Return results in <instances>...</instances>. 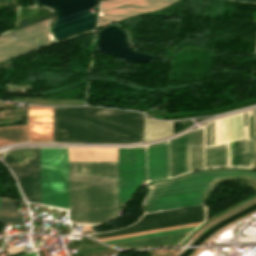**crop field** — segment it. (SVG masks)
Returning <instances> with one entry per match:
<instances>
[{"mask_svg":"<svg viewBox=\"0 0 256 256\" xmlns=\"http://www.w3.org/2000/svg\"><path fill=\"white\" fill-rule=\"evenodd\" d=\"M236 175L256 178L255 172L218 170L153 183L149 186L150 192L143 203V212L148 213L201 204L203 195L216 180Z\"/></svg>","mask_w":256,"mask_h":256,"instance_id":"1","label":"crop field"},{"mask_svg":"<svg viewBox=\"0 0 256 256\" xmlns=\"http://www.w3.org/2000/svg\"><path fill=\"white\" fill-rule=\"evenodd\" d=\"M42 204L68 209L67 148H41Z\"/></svg>","mask_w":256,"mask_h":256,"instance_id":"2","label":"crop field"},{"mask_svg":"<svg viewBox=\"0 0 256 256\" xmlns=\"http://www.w3.org/2000/svg\"><path fill=\"white\" fill-rule=\"evenodd\" d=\"M5 163L12 169L27 201L40 204V148L6 152Z\"/></svg>","mask_w":256,"mask_h":256,"instance_id":"3","label":"crop field"},{"mask_svg":"<svg viewBox=\"0 0 256 256\" xmlns=\"http://www.w3.org/2000/svg\"><path fill=\"white\" fill-rule=\"evenodd\" d=\"M51 18L0 36V61L54 43L47 31ZM14 36L18 38L15 39ZM34 39L35 41H33ZM38 43H40L38 45Z\"/></svg>","mask_w":256,"mask_h":256,"instance_id":"4","label":"crop field"},{"mask_svg":"<svg viewBox=\"0 0 256 256\" xmlns=\"http://www.w3.org/2000/svg\"><path fill=\"white\" fill-rule=\"evenodd\" d=\"M141 179H145L144 147L118 148L119 203H127Z\"/></svg>","mask_w":256,"mask_h":256,"instance_id":"5","label":"crop field"},{"mask_svg":"<svg viewBox=\"0 0 256 256\" xmlns=\"http://www.w3.org/2000/svg\"><path fill=\"white\" fill-rule=\"evenodd\" d=\"M177 0H105L102 2L98 27L125 17L168 6ZM105 21V23L103 22Z\"/></svg>","mask_w":256,"mask_h":256,"instance_id":"6","label":"crop field"},{"mask_svg":"<svg viewBox=\"0 0 256 256\" xmlns=\"http://www.w3.org/2000/svg\"><path fill=\"white\" fill-rule=\"evenodd\" d=\"M53 107L29 106V141L52 142Z\"/></svg>","mask_w":256,"mask_h":256,"instance_id":"7","label":"crop field"},{"mask_svg":"<svg viewBox=\"0 0 256 256\" xmlns=\"http://www.w3.org/2000/svg\"><path fill=\"white\" fill-rule=\"evenodd\" d=\"M148 180L169 177L168 140L147 146Z\"/></svg>","mask_w":256,"mask_h":256,"instance_id":"8","label":"crop field"},{"mask_svg":"<svg viewBox=\"0 0 256 256\" xmlns=\"http://www.w3.org/2000/svg\"><path fill=\"white\" fill-rule=\"evenodd\" d=\"M204 168L229 166V143L203 148Z\"/></svg>","mask_w":256,"mask_h":256,"instance_id":"9","label":"crop field"},{"mask_svg":"<svg viewBox=\"0 0 256 256\" xmlns=\"http://www.w3.org/2000/svg\"><path fill=\"white\" fill-rule=\"evenodd\" d=\"M172 134V122H161L145 117V141H151Z\"/></svg>","mask_w":256,"mask_h":256,"instance_id":"10","label":"crop field"},{"mask_svg":"<svg viewBox=\"0 0 256 256\" xmlns=\"http://www.w3.org/2000/svg\"><path fill=\"white\" fill-rule=\"evenodd\" d=\"M26 140L27 125L0 128V146Z\"/></svg>","mask_w":256,"mask_h":256,"instance_id":"11","label":"crop field"},{"mask_svg":"<svg viewBox=\"0 0 256 256\" xmlns=\"http://www.w3.org/2000/svg\"><path fill=\"white\" fill-rule=\"evenodd\" d=\"M0 223H14L24 226L13 200L1 199Z\"/></svg>","mask_w":256,"mask_h":256,"instance_id":"12","label":"crop field"},{"mask_svg":"<svg viewBox=\"0 0 256 256\" xmlns=\"http://www.w3.org/2000/svg\"><path fill=\"white\" fill-rule=\"evenodd\" d=\"M195 227H189V228H184V229H178V230H173V231H167V232H161V233H155V234H148V235H142V236H136V237H129V238H123V239L104 241L103 243L110 244V243H116V242H122V241H128V240H134V239H140V238H146V237H152V236H158V235H164V234H170V233L189 231V230H193Z\"/></svg>","mask_w":256,"mask_h":256,"instance_id":"13","label":"crop field"},{"mask_svg":"<svg viewBox=\"0 0 256 256\" xmlns=\"http://www.w3.org/2000/svg\"><path fill=\"white\" fill-rule=\"evenodd\" d=\"M200 223H194V224H188V225H182V226H176V227H170V228H164V229H158V230H152V231H146V232L132 233V234H126V235L112 236V237H106V238H99L98 240L104 241V240H110V239H116V238H123V237H129V236H135V235H141V234H147V233H153V232H159V231H165V230H171V229H177V228H183V227H189V226H195Z\"/></svg>","mask_w":256,"mask_h":256,"instance_id":"14","label":"crop field"},{"mask_svg":"<svg viewBox=\"0 0 256 256\" xmlns=\"http://www.w3.org/2000/svg\"><path fill=\"white\" fill-rule=\"evenodd\" d=\"M241 167L250 168V140L241 142Z\"/></svg>","mask_w":256,"mask_h":256,"instance_id":"15","label":"crop field"},{"mask_svg":"<svg viewBox=\"0 0 256 256\" xmlns=\"http://www.w3.org/2000/svg\"><path fill=\"white\" fill-rule=\"evenodd\" d=\"M202 208H204V207L203 206H198V207H192V208H186V209H179V210H173V211H167V212H160V213L143 215L142 218H148V217H154V216H160V215H166V214H172V213H178V212H184V211H190V210H196V209H202Z\"/></svg>","mask_w":256,"mask_h":256,"instance_id":"16","label":"crop field"},{"mask_svg":"<svg viewBox=\"0 0 256 256\" xmlns=\"http://www.w3.org/2000/svg\"><path fill=\"white\" fill-rule=\"evenodd\" d=\"M253 158L254 168H256V109L253 110Z\"/></svg>","mask_w":256,"mask_h":256,"instance_id":"17","label":"crop field"},{"mask_svg":"<svg viewBox=\"0 0 256 256\" xmlns=\"http://www.w3.org/2000/svg\"><path fill=\"white\" fill-rule=\"evenodd\" d=\"M235 166H238V142H235Z\"/></svg>","mask_w":256,"mask_h":256,"instance_id":"18","label":"crop field"},{"mask_svg":"<svg viewBox=\"0 0 256 256\" xmlns=\"http://www.w3.org/2000/svg\"><path fill=\"white\" fill-rule=\"evenodd\" d=\"M117 250H114V251H108V252H101V254H96V255H92V256H101V255H108V254H113L115 253Z\"/></svg>","mask_w":256,"mask_h":256,"instance_id":"19","label":"crop field"},{"mask_svg":"<svg viewBox=\"0 0 256 256\" xmlns=\"http://www.w3.org/2000/svg\"><path fill=\"white\" fill-rule=\"evenodd\" d=\"M23 256H37L36 253H30V254H27V255H23Z\"/></svg>","mask_w":256,"mask_h":256,"instance_id":"20","label":"crop field"},{"mask_svg":"<svg viewBox=\"0 0 256 256\" xmlns=\"http://www.w3.org/2000/svg\"><path fill=\"white\" fill-rule=\"evenodd\" d=\"M1 199V198H0Z\"/></svg>","mask_w":256,"mask_h":256,"instance_id":"21","label":"crop field"}]
</instances>
